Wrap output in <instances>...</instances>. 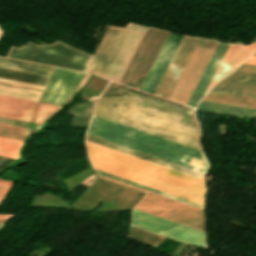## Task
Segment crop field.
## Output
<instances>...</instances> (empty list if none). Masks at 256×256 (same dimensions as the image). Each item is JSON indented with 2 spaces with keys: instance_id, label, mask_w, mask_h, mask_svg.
Returning <instances> with one entry per match:
<instances>
[{
  "instance_id": "crop-field-1",
  "label": "crop field",
  "mask_w": 256,
  "mask_h": 256,
  "mask_svg": "<svg viewBox=\"0 0 256 256\" xmlns=\"http://www.w3.org/2000/svg\"><path fill=\"white\" fill-rule=\"evenodd\" d=\"M86 148L94 168L204 205L203 180L90 143Z\"/></svg>"
},
{
  "instance_id": "crop-field-2",
  "label": "crop field",
  "mask_w": 256,
  "mask_h": 256,
  "mask_svg": "<svg viewBox=\"0 0 256 256\" xmlns=\"http://www.w3.org/2000/svg\"><path fill=\"white\" fill-rule=\"evenodd\" d=\"M99 176L134 188H138L102 175ZM147 192H149L147 196L145 195L146 197L135 207V209L205 232L203 209L152 193L150 191ZM135 209H133V226L186 244L208 249L206 234L204 232Z\"/></svg>"
},
{
  "instance_id": "crop-field-3",
  "label": "crop field",
  "mask_w": 256,
  "mask_h": 256,
  "mask_svg": "<svg viewBox=\"0 0 256 256\" xmlns=\"http://www.w3.org/2000/svg\"><path fill=\"white\" fill-rule=\"evenodd\" d=\"M88 134L202 171L207 160L202 151L94 116Z\"/></svg>"
},
{
  "instance_id": "crop-field-4",
  "label": "crop field",
  "mask_w": 256,
  "mask_h": 256,
  "mask_svg": "<svg viewBox=\"0 0 256 256\" xmlns=\"http://www.w3.org/2000/svg\"><path fill=\"white\" fill-rule=\"evenodd\" d=\"M205 97L256 105V66L242 64Z\"/></svg>"
},
{
  "instance_id": "crop-field-5",
  "label": "crop field",
  "mask_w": 256,
  "mask_h": 256,
  "mask_svg": "<svg viewBox=\"0 0 256 256\" xmlns=\"http://www.w3.org/2000/svg\"><path fill=\"white\" fill-rule=\"evenodd\" d=\"M61 107L0 95V116L42 124Z\"/></svg>"
},
{
  "instance_id": "crop-field-6",
  "label": "crop field",
  "mask_w": 256,
  "mask_h": 256,
  "mask_svg": "<svg viewBox=\"0 0 256 256\" xmlns=\"http://www.w3.org/2000/svg\"><path fill=\"white\" fill-rule=\"evenodd\" d=\"M85 73L54 68L41 101L59 105L72 95Z\"/></svg>"
},
{
  "instance_id": "crop-field-7",
  "label": "crop field",
  "mask_w": 256,
  "mask_h": 256,
  "mask_svg": "<svg viewBox=\"0 0 256 256\" xmlns=\"http://www.w3.org/2000/svg\"><path fill=\"white\" fill-rule=\"evenodd\" d=\"M197 41L198 39L184 36L176 54L174 55L165 75L163 76L155 92V95H159L168 99Z\"/></svg>"
},
{
  "instance_id": "crop-field-8",
  "label": "crop field",
  "mask_w": 256,
  "mask_h": 256,
  "mask_svg": "<svg viewBox=\"0 0 256 256\" xmlns=\"http://www.w3.org/2000/svg\"><path fill=\"white\" fill-rule=\"evenodd\" d=\"M181 38L168 34L155 62L153 63L141 90L154 94L167 66L169 65Z\"/></svg>"
},
{
  "instance_id": "crop-field-9",
  "label": "crop field",
  "mask_w": 256,
  "mask_h": 256,
  "mask_svg": "<svg viewBox=\"0 0 256 256\" xmlns=\"http://www.w3.org/2000/svg\"><path fill=\"white\" fill-rule=\"evenodd\" d=\"M255 50H256V43L253 45H247V46L229 45L206 92L213 84H215L218 80L224 77L232 69L238 66L243 60H245Z\"/></svg>"
},
{
  "instance_id": "crop-field-10",
  "label": "crop field",
  "mask_w": 256,
  "mask_h": 256,
  "mask_svg": "<svg viewBox=\"0 0 256 256\" xmlns=\"http://www.w3.org/2000/svg\"><path fill=\"white\" fill-rule=\"evenodd\" d=\"M228 45L218 43L209 63L207 64L198 84L196 85L187 105L194 106V104L203 96L215 70L217 69Z\"/></svg>"
},
{
  "instance_id": "crop-field-11",
  "label": "crop field",
  "mask_w": 256,
  "mask_h": 256,
  "mask_svg": "<svg viewBox=\"0 0 256 256\" xmlns=\"http://www.w3.org/2000/svg\"><path fill=\"white\" fill-rule=\"evenodd\" d=\"M203 99L227 103V104L239 105V106H244V107L256 108V106H251V105H244V104L219 101V100H213V99H207V98H203ZM204 100H201V102L198 104L197 109L220 112V113H227V114H233V115H240V116H246V117H256V109L238 107V106L221 104V103L204 101Z\"/></svg>"
},
{
  "instance_id": "crop-field-12",
  "label": "crop field",
  "mask_w": 256,
  "mask_h": 256,
  "mask_svg": "<svg viewBox=\"0 0 256 256\" xmlns=\"http://www.w3.org/2000/svg\"><path fill=\"white\" fill-rule=\"evenodd\" d=\"M0 67L48 76L52 67L0 58Z\"/></svg>"
},
{
  "instance_id": "crop-field-13",
  "label": "crop field",
  "mask_w": 256,
  "mask_h": 256,
  "mask_svg": "<svg viewBox=\"0 0 256 256\" xmlns=\"http://www.w3.org/2000/svg\"><path fill=\"white\" fill-rule=\"evenodd\" d=\"M0 78L44 86L48 77L0 68Z\"/></svg>"
},
{
  "instance_id": "crop-field-14",
  "label": "crop field",
  "mask_w": 256,
  "mask_h": 256,
  "mask_svg": "<svg viewBox=\"0 0 256 256\" xmlns=\"http://www.w3.org/2000/svg\"><path fill=\"white\" fill-rule=\"evenodd\" d=\"M42 92L0 84V94L38 101Z\"/></svg>"
},
{
  "instance_id": "crop-field-15",
  "label": "crop field",
  "mask_w": 256,
  "mask_h": 256,
  "mask_svg": "<svg viewBox=\"0 0 256 256\" xmlns=\"http://www.w3.org/2000/svg\"><path fill=\"white\" fill-rule=\"evenodd\" d=\"M34 131V129H28L0 123V137L22 141L24 138H26Z\"/></svg>"
},
{
  "instance_id": "crop-field-16",
  "label": "crop field",
  "mask_w": 256,
  "mask_h": 256,
  "mask_svg": "<svg viewBox=\"0 0 256 256\" xmlns=\"http://www.w3.org/2000/svg\"><path fill=\"white\" fill-rule=\"evenodd\" d=\"M22 142L0 138V155L19 158L18 151Z\"/></svg>"
},
{
  "instance_id": "crop-field-17",
  "label": "crop field",
  "mask_w": 256,
  "mask_h": 256,
  "mask_svg": "<svg viewBox=\"0 0 256 256\" xmlns=\"http://www.w3.org/2000/svg\"><path fill=\"white\" fill-rule=\"evenodd\" d=\"M96 171L99 174H102V175H105V176H108V177H111V178H114V179H117V180L129 183V184H132V185H135V186H138V187L150 190L152 192H155V193H158V194H161V195H164V196H167V197H170V198H173V199H176V200H179V201H182V202H185V203H188V204H191V205H194V206H197V207H200V208L204 209L203 205H200V204H197V203H194V202H191V201H188V200H185V199H182V198H179V197H176V196H173V195H170V194H167V193H164V192H161V191L149 188L147 186H144V185H141V184H138V183H135V182H132V181H129V180H126V179H123V178H120V177H117V176H114V175H111V174H108V173H105V172H102V171H99V170H96Z\"/></svg>"
},
{
  "instance_id": "crop-field-18",
  "label": "crop field",
  "mask_w": 256,
  "mask_h": 256,
  "mask_svg": "<svg viewBox=\"0 0 256 256\" xmlns=\"http://www.w3.org/2000/svg\"><path fill=\"white\" fill-rule=\"evenodd\" d=\"M12 182L0 180V199L4 198L9 191Z\"/></svg>"
},
{
  "instance_id": "crop-field-19",
  "label": "crop field",
  "mask_w": 256,
  "mask_h": 256,
  "mask_svg": "<svg viewBox=\"0 0 256 256\" xmlns=\"http://www.w3.org/2000/svg\"><path fill=\"white\" fill-rule=\"evenodd\" d=\"M0 82L8 83V84H14V85H19V86L30 87V88H35V89H41V90H43V88H44L42 86H36V85H31V84H26V83H20V82H15V81H10V80H4V79H0Z\"/></svg>"
},
{
  "instance_id": "crop-field-20",
  "label": "crop field",
  "mask_w": 256,
  "mask_h": 256,
  "mask_svg": "<svg viewBox=\"0 0 256 256\" xmlns=\"http://www.w3.org/2000/svg\"><path fill=\"white\" fill-rule=\"evenodd\" d=\"M244 63L256 65V57H255V56H252L251 58H249L248 60H246Z\"/></svg>"
},
{
  "instance_id": "crop-field-21",
  "label": "crop field",
  "mask_w": 256,
  "mask_h": 256,
  "mask_svg": "<svg viewBox=\"0 0 256 256\" xmlns=\"http://www.w3.org/2000/svg\"><path fill=\"white\" fill-rule=\"evenodd\" d=\"M14 214L0 215V219H10Z\"/></svg>"
},
{
  "instance_id": "crop-field-22",
  "label": "crop field",
  "mask_w": 256,
  "mask_h": 256,
  "mask_svg": "<svg viewBox=\"0 0 256 256\" xmlns=\"http://www.w3.org/2000/svg\"><path fill=\"white\" fill-rule=\"evenodd\" d=\"M2 33H3V31H2V29H1V27H0V36L2 35Z\"/></svg>"
},
{
  "instance_id": "crop-field-23",
  "label": "crop field",
  "mask_w": 256,
  "mask_h": 256,
  "mask_svg": "<svg viewBox=\"0 0 256 256\" xmlns=\"http://www.w3.org/2000/svg\"><path fill=\"white\" fill-rule=\"evenodd\" d=\"M8 220H0V222H7Z\"/></svg>"
},
{
  "instance_id": "crop-field-24",
  "label": "crop field",
  "mask_w": 256,
  "mask_h": 256,
  "mask_svg": "<svg viewBox=\"0 0 256 256\" xmlns=\"http://www.w3.org/2000/svg\"><path fill=\"white\" fill-rule=\"evenodd\" d=\"M4 223H0V227L3 225Z\"/></svg>"
},
{
  "instance_id": "crop-field-25",
  "label": "crop field",
  "mask_w": 256,
  "mask_h": 256,
  "mask_svg": "<svg viewBox=\"0 0 256 256\" xmlns=\"http://www.w3.org/2000/svg\"><path fill=\"white\" fill-rule=\"evenodd\" d=\"M253 55H255V56H256V52H255Z\"/></svg>"
}]
</instances>
